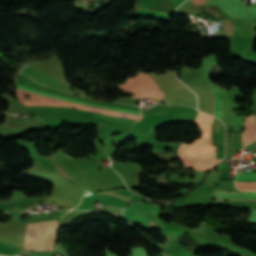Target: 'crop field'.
Listing matches in <instances>:
<instances>
[{
	"label": "crop field",
	"instance_id": "crop-field-2",
	"mask_svg": "<svg viewBox=\"0 0 256 256\" xmlns=\"http://www.w3.org/2000/svg\"><path fill=\"white\" fill-rule=\"evenodd\" d=\"M58 220L28 224L23 248L38 251L54 250Z\"/></svg>",
	"mask_w": 256,
	"mask_h": 256
},
{
	"label": "crop field",
	"instance_id": "crop-field-15",
	"mask_svg": "<svg viewBox=\"0 0 256 256\" xmlns=\"http://www.w3.org/2000/svg\"><path fill=\"white\" fill-rule=\"evenodd\" d=\"M150 223H151V225H152L153 227L156 226V224L154 223V221H151Z\"/></svg>",
	"mask_w": 256,
	"mask_h": 256
},
{
	"label": "crop field",
	"instance_id": "crop-field-13",
	"mask_svg": "<svg viewBox=\"0 0 256 256\" xmlns=\"http://www.w3.org/2000/svg\"><path fill=\"white\" fill-rule=\"evenodd\" d=\"M252 213H250V215H252L248 222H255L256 223V210H250Z\"/></svg>",
	"mask_w": 256,
	"mask_h": 256
},
{
	"label": "crop field",
	"instance_id": "crop-field-5",
	"mask_svg": "<svg viewBox=\"0 0 256 256\" xmlns=\"http://www.w3.org/2000/svg\"><path fill=\"white\" fill-rule=\"evenodd\" d=\"M97 200L104 205H111L119 208H123L128 203V202L114 199L112 197H108L105 195H93V196L84 197L82 204L77 208L84 209V210L94 209L91 204L95 203Z\"/></svg>",
	"mask_w": 256,
	"mask_h": 256
},
{
	"label": "crop field",
	"instance_id": "crop-field-18",
	"mask_svg": "<svg viewBox=\"0 0 256 256\" xmlns=\"http://www.w3.org/2000/svg\"><path fill=\"white\" fill-rule=\"evenodd\" d=\"M163 182H165L164 180H162Z\"/></svg>",
	"mask_w": 256,
	"mask_h": 256
},
{
	"label": "crop field",
	"instance_id": "crop-field-16",
	"mask_svg": "<svg viewBox=\"0 0 256 256\" xmlns=\"http://www.w3.org/2000/svg\"><path fill=\"white\" fill-rule=\"evenodd\" d=\"M188 190H186L185 192H187ZM185 192H183V194L185 193Z\"/></svg>",
	"mask_w": 256,
	"mask_h": 256
},
{
	"label": "crop field",
	"instance_id": "crop-field-14",
	"mask_svg": "<svg viewBox=\"0 0 256 256\" xmlns=\"http://www.w3.org/2000/svg\"><path fill=\"white\" fill-rule=\"evenodd\" d=\"M17 253L21 254L20 256H29L31 252H24V251L18 250Z\"/></svg>",
	"mask_w": 256,
	"mask_h": 256
},
{
	"label": "crop field",
	"instance_id": "crop-field-9",
	"mask_svg": "<svg viewBox=\"0 0 256 256\" xmlns=\"http://www.w3.org/2000/svg\"><path fill=\"white\" fill-rule=\"evenodd\" d=\"M205 84L212 90V92L215 95V100H214V116L218 117L221 119V114H220V102H219V94L218 90L215 86H213L209 80H204Z\"/></svg>",
	"mask_w": 256,
	"mask_h": 256
},
{
	"label": "crop field",
	"instance_id": "crop-field-7",
	"mask_svg": "<svg viewBox=\"0 0 256 256\" xmlns=\"http://www.w3.org/2000/svg\"><path fill=\"white\" fill-rule=\"evenodd\" d=\"M213 196L217 200H248V201H256V193L250 192H222V191H213Z\"/></svg>",
	"mask_w": 256,
	"mask_h": 256
},
{
	"label": "crop field",
	"instance_id": "crop-field-8",
	"mask_svg": "<svg viewBox=\"0 0 256 256\" xmlns=\"http://www.w3.org/2000/svg\"><path fill=\"white\" fill-rule=\"evenodd\" d=\"M165 123H172L168 114L141 119L133 125V129L157 127Z\"/></svg>",
	"mask_w": 256,
	"mask_h": 256
},
{
	"label": "crop field",
	"instance_id": "crop-field-3",
	"mask_svg": "<svg viewBox=\"0 0 256 256\" xmlns=\"http://www.w3.org/2000/svg\"><path fill=\"white\" fill-rule=\"evenodd\" d=\"M123 90H128L137 93L142 98H152L158 101L164 98V94L159 91L154 80L147 74H140L133 78L128 79L125 85H120ZM132 96L130 99H140V96ZM118 100L135 101L129 100V97L119 98Z\"/></svg>",
	"mask_w": 256,
	"mask_h": 256
},
{
	"label": "crop field",
	"instance_id": "crop-field-11",
	"mask_svg": "<svg viewBox=\"0 0 256 256\" xmlns=\"http://www.w3.org/2000/svg\"><path fill=\"white\" fill-rule=\"evenodd\" d=\"M241 174V173H236ZM252 180L256 182V172H245L243 175H236V181H248Z\"/></svg>",
	"mask_w": 256,
	"mask_h": 256
},
{
	"label": "crop field",
	"instance_id": "crop-field-17",
	"mask_svg": "<svg viewBox=\"0 0 256 256\" xmlns=\"http://www.w3.org/2000/svg\"><path fill=\"white\" fill-rule=\"evenodd\" d=\"M56 207H60V206H56ZM62 208H64V207H62Z\"/></svg>",
	"mask_w": 256,
	"mask_h": 256
},
{
	"label": "crop field",
	"instance_id": "crop-field-10",
	"mask_svg": "<svg viewBox=\"0 0 256 256\" xmlns=\"http://www.w3.org/2000/svg\"><path fill=\"white\" fill-rule=\"evenodd\" d=\"M235 186L239 190L256 191V183L255 182H235Z\"/></svg>",
	"mask_w": 256,
	"mask_h": 256
},
{
	"label": "crop field",
	"instance_id": "crop-field-6",
	"mask_svg": "<svg viewBox=\"0 0 256 256\" xmlns=\"http://www.w3.org/2000/svg\"><path fill=\"white\" fill-rule=\"evenodd\" d=\"M183 160L184 168L193 167L194 170L198 171H209L216 164H218L220 160L213 159H190V158H180Z\"/></svg>",
	"mask_w": 256,
	"mask_h": 256
},
{
	"label": "crop field",
	"instance_id": "crop-field-1",
	"mask_svg": "<svg viewBox=\"0 0 256 256\" xmlns=\"http://www.w3.org/2000/svg\"><path fill=\"white\" fill-rule=\"evenodd\" d=\"M17 88L22 89V90H26V91H29V92L41 94V95L54 97V98H59V99H63V100L73 101V102H77V103L92 105V106H96V107L111 109V110H115V111H120V112H125V113H130V114L140 116V113L131 112V111L122 110V109H117V108H112V107H107V106L93 104V103L70 100V99L54 96V95H51V94L31 90V89L21 87V86H18V85H17ZM29 92H25V91H21V90L16 89V98L17 99H25L24 94H27V95L30 96V99H28V100L63 101V100L54 99V98H50V97H46V96H41V95L29 93ZM19 101L22 104H31V105L75 107V108L82 109V110L92 111V112H96V113H101V114H106V115H111V116H116V117L136 120V121H138L141 118L139 116H134V115L124 114V113L109 111V110H105V109H100V108H95V107H90V106H85V105H80V104H75V103H63V102H68V101H63V102H45V101H27V100H19Z\"/></svg>",
	"mask_w": 256,
	"mask_h": 256
},
{
	"label": "crop field",
	"instance_id": "crop-field-12",
	"mask_svg": "<svg viewBox=\"0 0 256 256\" xmlns=\"http://www.w3.org/2000/svg\"><path fill=\"white\" fill-rule=\"evenodd\" d=\"M6 247H9V248H15V249H21V248H17L15 246H12V245H8ZM21 250H24V249H21ZM25 251H29V250H25ZM34 254L36 255H40V256H56V253H48V252H37V251H32L31 255L30 256H33Z\"/></svg>",
	"mask_w": 256,
	"mask_h": 256
},
{
	"label": "crop field",
	"instance_id": "crop-field-4",
	"mask_svg": "<svg viewBox=\"0 0 256 256\" xmlns=\"http://www.w3.org/2000/svg\"><path fill=\"white\" fill-rule=\"evenodd\" d=\"M21 74L27 75L28 77L33 78L34 81L47 86L55 87L57 89L64 90V91L73 92L75 94H80V95L85 94L84 91L77 89L75 87H74L75 88L74 90H70L69 86L42 75L41 73L34 70L28 65L22 70Z\"/></svg>",
	"mask_w": 256,
	"mask_h": 256
}]
</instances>
